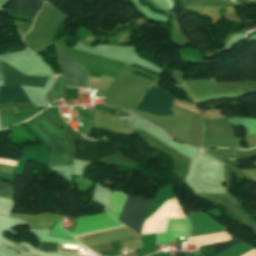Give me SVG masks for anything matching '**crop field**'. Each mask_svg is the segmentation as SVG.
<instances>
[{
  "instance_id": "1",
  "label": "crop field",
  "mask_w": 256,
  "mask_h": 256,
  "mask_svg": "<svg viewBox=\"0 0 256 256\" xmlns=\"http://www.w3.org/2000/svg\"><path fill=\"white\" fill-rule=\"evenodd\" d=\"M115 218H113L109 212L100 214L97 216H84L80 217L76 229L71 232L74 236L101 231L117 226H121ZM124 227V226H121ZM120 228V227H117ZM115 229V228H113ZM110 230V229H109ZM106 231V230H105ZM135 232L119 235L111 238H106L98 241L85 243L84 245L92 251L100 254V251L111 249L110 243L118 242L126 239L137 238Z\"/></svg>"
},
{
  "instance_id": "2",
  "label": "crop field",
  "mask_w": 256,
  "mask_h": 256,
  "mask_svg": "<svg viewBox=\"0 0 256 256\" xmlns=\"http://www.w3.org/2000/svg\"><path fill=\"white\" fill-rule=\"evenodd\" d=\"M126 194L122 191H114L110 200L109 211L118 219L120 209L126 199ZM151 200L128 196L119 216V221L140 234L144 217L147 213Z\"/></svg>"
},
{
  "instance_id": "3",
  "label": "crop field",
  "mask_w": 256,
  "mask_h": 256,
  "mask_svg": "<svg viewBox=\"0 0 256 256\" xmlns=\"http://www.w3.org/2000/svg\"><path fill=\"white\" fill-rule=\"evenodd\" d=\"M71 138V137H70ZM74 144V158L89 162H95L118 150L107 141H88L71 138Z\"/></svg>"
},
{
  "instance_id": "4",
  "label": "crop field",
  "mask_w": 256,
  "mask_h": 256,
  "mask_svg": "<svg viewBox=\"0 0 256 256\" xmlns=\"http://www.w3.org/2000/svg\"><path fill=\"white\" fill-rule=\"evenodd\" d=\"M58 64L62 74L67 78V86H85L88 85V72L79 64L70 53L57 46Z\"/></svg>"
},
{
  "instance_id": "5",
  "label": "crop field",
  "mask_w": 256,
  "mask_h": 256,
  "mask_svg": "<svg viewBox=\"0 0 256 256\" xmlns=\"http://www.w3.org/2000/svg\"><path fill=\"white\" fill-rule=\"evenodd\" d=\"M173 99L174 97L172 95L166 94L155 87H151L145 93L136 109L154 114L168 115Z\"/></svg>"
},
{
  "instance_id": "6",
  "label": "crop field",
  "mask_w": 256,
  "mask_h": 256,
  "mask_svg": "<svg viewBox=\"0 0 256 256\" xmlns=\"http://www.w3.org/2000/svg\"><path fill=\"white\" fill-rule=\"evenodd\" d=\"M1 71L4 86L9 85H25L33 87H44L49 77H30L10 68L5 63H1ZM0 71V86H3Z\"/></svg>"
},
{
  "instance_id": "7",
  "label": "crop field",
  "mask_w": 256,
  "mask_h": 256,
  "mask_svg": "<svg viewBox=\"0 0 256 256\" xmlns=\"http://www.w3.org/2000/svg\"><path fill=\"white\" fill-rule=\"evenodd\" d=\"M189 224L187 219H168L165 233L157 234L156 244H166L178 237H188Z\"/></svg>"
},
{
  "instance_id": "8",
  "label": "crop field",
  "mask_w": 256,
  "mask_h": 256,
  "mask_svg": "<svg viewBox=\"0 0 256 256\" xmlns=\"http://www.w3.org/2000/svg\"><path fill=\"white\" fill-rule=\"evenodd\" d=\"M22 124H24L31 131H33L39 137V139L43 142L44 145L38 146V147H25L24 153H23L22 157L19 159V161L16 165V168H15V171L13 173V174L19 175V176H21V174H22L23 166L27 159L33 160V161H36V162H39V163H42V164L48 166L46 144L44 143V141L41 139V137L38 135V133L36 131H34L32 128H30L25 123H22Z\"/></svg>"
},
{
  "instance_id": "9",
  "label": "crop field",
  "mask_w": 256,
  "mask_h": 256,
  "mask_svg": "<svg viewBox=\"0 0 256 256\" xmlns=\"http://www.w3.org/2000/svg\"><path fill=\"white\" fill-rule=\"evenodd\" d=\"M10 216L26 220L29 228H50L54 222L63 221V218L56 214H39L37 216L10 214Z\"/></svg>"
},
{
  "instance_id": "10",
  "label": "crop field",
  "mask_w": 256,
  "mask_h": 256,
  "mask_svg": "<svg viewBox=\"0 0 256 256\" xmlns=\"http://www.w3.org/2000/svg\"><path fill=\"white\" fill-rule=\"evenodd\" d=\"M42 3L43 0H12L9 12L34 18Z\"/></svg>"
},
{
  "instance_id": "11",
  "label": "crop field",
  "mask_w": 256,
  "mask_h": 256,
  "mask_svg": "<svg viewBox=\"0 0 256 256\" xmlns=\"http://www.w3.org/2000/svg\"><path fill=\"white\" fill-rule=\"evenodd\" d=\"M29 102L21 86L0 87V103Z\"/></svg>"
},
{
  "instance_id": "12",
  "label": "crop field",
  "mask_w": 256,
  "mask_h": 256,
  "mask_svg": "<svg viewBox=\"0 0 256 256\" xmlns=\"http://www.w3.org/2000/svg\"><path fill=\"white\" fill-rule=\"evenodd\" d=\"M9 132L8 129L0 130V158L12 159L18 161L22 151L5 145V138Z\"/></svg>"
},
{
  "instance_id": "13",
  "label": "crop field",
  "mask_w": 256,
  "mask_h": 256,
  "mask_svg": "<svg viewBox=\"0 0 256 256\" xmlns=\"http://www.w3.org/2000/svg\"><path fill=\"white\" fill-rule=\"evenodd\" d=\"M14 190L10 184L0 181V196L13 199Z\"/></svg>"
},
{
  "instance_id": "14",
  "label": "crop field",
  "mask_w": 256,
  "mask_h": 256,
  "mask_svg": "<svg viewBox=\"0 0 256 256\" xmlns=\"http://www.w3.org/2000/svg\"><path fill=\"white\" fill-rule=\"evenodd\" d=\"M237 243H239V241L232 239L226 243L214 244V253L217 254Z\"/></svg>"
},
{
  "instance_id": "15",
  "label": "crop field",
  "mask_w": 256,
  "mask_h": 256,
  "mask_svg": "<svg viewBox=\"0 0 256 256\" xmlns=\"http://www.w3.org/2000/svg\"><path fill=\"white\" fill-rule=\"evenodd\" d=\"M256 167L253 163L252 158H244V159H238V164L235 168L241 169V168H251Z\"/></svg>"
},
{
  "instance_id": "16",
  "label": "crop field",
  "mask_w": 256,
  "mask_h": 256,
  "mask_svg": "<svg viewBox=\"0 0 256 256\" xmlns=\"http://www.w3.org/2000/svg\"><path fill=\"white\" fill-rule=\"evenodd\" d=\"M59 225L60 223H55L53 228H52V232L51 235L52 236H62V237H67V238H71L74 239L73 237L69 236L66 232H63L59 229Z\"/></svg>"
},
{
  "instance_id": "17",
  "label": "crop field",
  "mask_w": 256,
  "mask_h": 256,
  "mask_svg": "<svg viewBox=\"0 0 256 256\" xmlns=\"http://www.w3.org/2000/svg\"><path fill=\"white\" fill-rule=\"evenodd\" d=\"M252 156H256V154H252Z\"/></svg>"
},
{
  "instance_id": "18",
  "label": "crop field",
  "mask_w": 256,
  "mask_h": 256,
  "mask_svg": "<svg viewBox=\"0 0 256 256\" xmlns=\"http://www.w3.org/2000/svg\"><path fill=\"white\" fill-rule=\"evenodd\" d=\"M45 2H47V3H48V1H46V0H45ZM48 4H49V3H48Z\"/></svg>"
}]
</instances>
